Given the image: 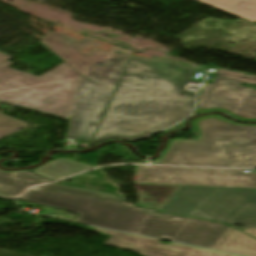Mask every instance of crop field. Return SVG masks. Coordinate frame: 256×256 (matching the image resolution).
<instances>
[{
	"mask_svg": "<svg viewBox=\"0 0 256 256\" xmlns=\"http://www.w3.org/2000/svg\"><path fill=\"white\" fill-rule=\"evenodd\" d=\"M244 232L256 237V229H252V228H248L247 230H245Z\"/></svg>",
	"mask_w": 256,
	"mask_h": 256,
	"instance_id": "obj_17",
	"label": "crop field"
},
{
	"mask_svg": "<svg viewBox=\"0 0 256 256\" xmlns=\"http://www.w3.org/2000/svg\"><path fill=\"white\" fill-rule=\"evenodd\" d=\"M0 66V100L38 111L70 118L80 74L65 62L35 77Z\"/></svg>",
	"mask_w": 256,
	"mask_h": 256,
	"instance_id": "obj_5",
	"label": "crop field"
},
{
	"mask_svg": "<svg viewBox=\"0 0 256 256\" xmlns=\"http://www.w3.org/2000/svg\"><path fill=\"white\" fill-rule=\"evenodd\" d=\"M161 239H165V240H170V241H172L173 238H169V237H164V236H163Z\"/></svg>",
	"mask_w": 256,
	"mask_h": 256,
	"instance_id": "obj_19",
	"label": "crop field"
},
{
	"mask_svg": "<svg viewBox=\"0 0 256 256\" xmlns=\"http://www.w3.org/2000/svg\"><path fill=\"white\" fill-rule=\"evenodd\" d=\"M137 183L256 188V173L228 169L139 166Z\"/></svg>",
	"mask_w": 256,
	"mask_h": 256,
	"instance_id": "obj_7",
	"label": "crop field"
},
{
	"mask_svg": "<svg viewBox=\"0 0 256 256\" xmlns=\"http://www.w3.org/2000/svg\"><path fill=\"white\" fill-rule=\"evenodd\" d=\"M212 84L206 83L199 98V109L221 107L242 118H256V89L241 88V82L256 85L255 76L217 69Z\"/></svg>",
	"mask_w": 256,
	"mask_h": 256,
	"instance_id": "obj_8",
	"label": "crop field"
},
{
	"mask_svg": "<svg viewBox=\"0 0 256 256\" xmlns=\"http://www.w3.org/2000/svg\"><path fill=\"white\" fill-rule=\"evenodd\" d=\"M201 142H174L161 164L245 167L256 166V127L210 119L199 123Z\"/></svg>",
	"mask_w": 256,
	"mask_h": 256,
	"instance_id": "obj_4",
	"label": "crop field"
},
{
	"mask_svg": "<svg viewBox=\"0 0 256 256\" xmlns=\"http://www.w3.org/2000/svg\"><path fill=\"white\" fill-rule=\"evenodd\" d=\"M20 200L80 214L76 222L212 248L228 226L196 218L121 205L116 195L50 184Z\"/></svg>",
	"mask_w": 256,
	"mask_h": 256,
	"instance_id": "obj_2",
	"label": "crop field"
},
{
	"mask_svg": "<svg viewBox=\"0 0 256 256\" xmlns=\"http://www.w3.org/2000/svg\"><path fill=\"white\" fill-rule=\"evenodd\" d=\"M95 38L74 40L63 33L50 32L40 42L81 74L67 137L90 141L110 100L114 88L131 57V51L119 47L106 53L95 48L89 54L80 49ZM100 60L106 64L98 66Z\"/></svg>",
	"mask_w": 256,
	"mask_h": 256,
	"instance_id": "obj_3",
	"label": "crop field"
},
{
	"mask_svg": "<svg viewBox=\"0 0 256 256\" xmlns=\"http://www.w3.org/2000/svg\"><path fill=\"white\" fill-rule=\"evenodd\" d=\"M209 118H217V119L223 120V121L228 122V123L240 124V123H235V122L229 121V120H227V119H225V118H223L221 116H217V115H208V116H203V117L198 118V119H194V120L191 121V124H192L193 128L198 131V133L200 135V140L202 138V135H201L198 123L200 121H202V120L209 119ZM240 125H246V124H240ZM249 126H256V125H249ZM174 141H184V140H172V141H170V145L164 150V152L162 153L161 157L155 160L154 164H160V162L163 159L166 158V156H167V154H168V152H169V150H170V148H171V146H172Z\"/></svg>",
	"mask_w": 256,
	"mask_h": 256,
	"instance_id": "obj_15",
	"label": "crop field"
},
{
	"mask_svg": "<svg viewBox=\"0 0 256 256\" xmlns=\"http://www.w3.org/2000/svg\"><path fill=\"white\" fill-rule=\"evenodd\" d=\"M88 231L112 235L106 245L130 249L142 256H237L183 244H161L157 239L89 227Z\"/></svg>",
	"mask_w": 256,
	"mask_h": 256,
	"instance_id": "obj_9",
	"label": "crop field"
},
{
	"mask_svg": "<svg viewBox=\"0 0 256 256\" xmlns=\"http://www.w3.org/2000/svg\"><path fill=\"white\" fill-rule=\"evenodd\" d=\"M10 57L0 54V65L6 61H8Z\"/></svg>",
	"mask_w": 256,
	"mask_h": 256,
	"instance_id": "obj_18",
	"label": "crop field"
},
{
	"mask_svg": "<svg viewBox=\"0 0 256 256\" xmlns=\"http://www.w3.org/2000/svg\"><path fill=\"white\" fill-rule=\"evenodd\" d=\"M195 70L132 56L92 143L139 140L192 114L196 93L184 88Z\"/></svg>",
	"mask_w": 256,
	"mask_h": 256,
	"instance_id": "obj_1",
	"label": "crop field"
},
{
	"mask_svg": "<svg viewBox=\"0 0 256 256\" xmlns=\"http://www.w3.org/2000/svg\"><path fill=\"white\" fill-rule=\"evenodd\" d=\"M123 204H125V205H129L127 202H124Z\"/></svg>",
	"mask_w": 256,
	"mask_h": 256,
	"instance_id": "obj_20",
	"label": "crop field"
},
{
	"mask_svg": "<svg viewBox=\"0 0 256 256\" xmlns=\"http://www.w3.org/2000/svg\"><path fill=\"white\" fill-rule=\"evenodd\" d=\"M209 111H220V112H225L227 114H230L232 116H234L235 118L239 119V120H244V121H256V119H242L236 115H234L233 113L227 111V110H224V109H220V108H210V109H204V110H199V109H196V113L198 114H201V113H205V112H209Z\"/></svg>",
	"mask_w": 256,
	"mask_h": 256,
	"instance_id": "obj_16",
	"label": "crop field"
},
{
	"mask_svg": "<svg viewBox=\"0 0 256 256\" xmlns=\"http://www.w3.org/2000/svg\"><path fill=\"white\" fill-rule=\"evenodd\" d=\"M159 210L256 228V189L182 185Z\"/></svg>",
	"mask_w": 256,
	"mask_h": 256,
	"instance_id": "obj_6",
	"label": "crop field"
},
{
	"mask_svg": "<svg viewBox=\"0 0 256 256\" xmlns=\"http://www.w3.org/2000/svg\"><path fill=\"white\" fill-rule=\"evenodd\" d=\"M213 248L256 256V239L229 227Z\"/></svg>",
	"mask_w": 256,
	"mask_h": 256,
	"instance_id": "obj_11",
	"label": "crop field"
},
{
	"mask_svg": "<svg viewBox=\"0 0 256 256\" xmlns=\"http://www.w3.org/2000/svg\"><path fill=\"white\" fill-rule=\"evenodd\" d=\"M29 125L0 114V139Z\"/></svg>",
	"mask_w": 256,
	"mask_h": 256,
	"instance_id": "obj_14",
	"label": "crop field"
},
{
	"mask_svg": "<svg viewBox=\"0 0 256 256\" xmlns=\"http://www.w3.org/2000/svg\"><path fill=\"white\" fill-rule=\"evenodd\" d=\"M88 168L91 167L66 159H58L44 167L35 169L34 172L40 176L55 181Z\"/></svg>",
	"mask_w": 256,
	"mask_h": 256,
	"instance_id": "obj_13",
	"label": "crop field"
},
{
	"mask_svg": "<svg viewBox=\"0 0 256 256\" xmlns=\"http://www.w3.org/2000/svg\"><path fill=\"white\" fill-rule=\"evenodd\" d=\"M50 182L37 177L27 171H0V196L6 198L17 197L27 187Z\"/></svg>",
	"mask_w": 256,
	"mask_h": 256,
	"instance_id": "obj_10",
	"label": "crop field"
},
{
	"mask_svg": "<svg viewBox=\"0 0 256 256\" xmlns=\"http://www.w3.org/2000/svg\"><path fill=\"white\" fill-rule=\"evenodd\" d=\"M241 18L256 22V0H197Z\"/></svg>",
	"mask_w": 256,
	"mask_h": 256,
	"instance_id": "obj_12",
	"label": "crop field"
}]
</instances>
